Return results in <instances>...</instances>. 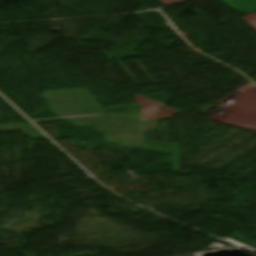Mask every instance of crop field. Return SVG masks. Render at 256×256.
<instances>
[{"label":"crop field","mask_w":256,"mask_h":256,"mask_svg":"<svg viewBox=\"0 0 256 256\" xmlns=\"http://www.w3.org/2000/svg\"><path fill=\"white\" fill-rule=\"evenodd\" d=\"M238 8H240L242 11H245V12L256 11V5H252V6H248V7H238Z\"/></svg>","instance_id":"obj_3"},{"label":"crop field","mask_w":256,"mask_h":256,"mask_svg":"<svg viewBox=\"0 0 256 256\" xmlns=\"http://www.w3.org/2000/svg\"><path fill=\"white\" fill-rule=\"evenodd\" d=\"M228 1H230L232 4L236 6H247V5L256 3V0H228Z\"/></svg>","instance_id":"obj_1"},{"label":"crop field","mask_w":256,"mask_h":256,"mask_svg":"<svg viewBox=\"0 0 256 256\" xmlns=\"http://www.w3.org/2000/svg\"><path fill=\"white\" fill-rule=\"evenodd\" d=\"M221 2H223L227 7H229L230 9L233 10H239L237 7H235L234 5H232L230 2H228L227 0H220ZM241 11V10H239Z\"/></svg>","instance_id":"obj_4"},{"label":"crop field","mask_w":256,"mask_h":256,"mask_svg":"<svg viewBox=\"0 0 256 256\" xmlns=\"http://www.w3.org/2000/svg\"><path fill=\"white\" fill-rule=\"evenodd\" d=\"M244 21L248 22L250 25H252L254 28H256V15L249 16Z\"/></svg>","instance_id":"obj_2"}]
</instances>
